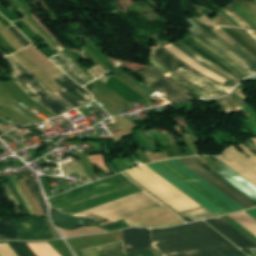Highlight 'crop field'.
<instances>
[{
  "label": "crop field",
  "mask_w": 256,
  "mask_h": 256,
  "mask_svg": "<svg viewBox=\"0 0 256 256\" xmlns=\"http://www.w3.org/2000/svg\"><path fill=\"white\" fill-rule=\"evenodd\" d=\"M154 198V197H153ZM144 191L77 214L84 216L95 212L113 222L162 206Z\"/></svg>",
  "instance_id": "4"
},
{
  "label": "crop field",
  "mask_w": 256,
  "mask_h": 256,
  "mask_svg": "<svg viewBox=\"0 0 256 256\" xmlns=\"http://www.w3.org/2000/svg\"><path fill=\"white\" fill-rule=\"evenodd\" d=\"M17 256H37L26 242H8Z\"/></svg>",
  "instance_id": "27"
},
{
  "label": "crop field",
  "mask_w": 256,
  "mask_h": 256,
  "mask_svg": "<svg viewBox=\"0 0 256 256\" xmlns=\"http://www.w3.org/2000/svg\"><path fill=\"white\" fill-rule=\"evenodd\" d=\"M151 234L153 246L161 256H189L235 249L201 222L151 229Z\"/></svg>",
  "instance_id": "1"
},
{
  "label": "crop field",
  "mask_w": 256,
  "mask_h": 256,
  "mask_svg": "<svg viewBox=\"0 0 256 256\" xmlns=\"http://www.w3.org/2000/svg\"><path fill=\"white\" fill-rule=\"evenodd\" d=\"M27 180H28V182H29L37 200L39 201L40 205L42 206L44 212L47 215L46 201H45V199H44V197H43V195L40 191V188H39L36 180L34 178H30V179H27Z\"/></svg>",
  "instance_id": "28"
},
{
  "label": "crop field",
  "mask_w": 256,
  "mask_h": 256,
  "mask_svg": "<svg viewBox=\"0 0 256 256\" xmlns=\"http://www.w3.org/2000/svg\"><path fill=\"white\" fill-rule=\"evenodd\" d=\"M256 1V0H255Z\"/></svg>",
  "instance_id": "43"
},
{
  "label": "crop field",
  "mask_w": 256,
  "mask_h": 256,
  "mask_svg": "<svg viewBox=\"0 0 256 256\" xmlns=\"http://www.w3.org/2000/svg\"><path fill=\"white\" fill-rule=\"evenodd\" d=\"M241 148L250 158H247L233 147L228 149L219 159L256 186V154L246 145H242Z\"/></svg>",
  "instance_id": "7"
},
{
  "label": "crop field",
  "mask_w": 256,
  "mask_h": 256,
  "mask_svg": "<svg viewBox=\"0 0 256 256\" xmlns=\"http://www.w3.org/2000/svg\"><path fill=\"white\" fill-rule=\"evenodd\" d=\"M126 179H128V178L125 177L123 174L116 175V176H113V177H109V178H106V179H103V180H99V181H96V182H93V183L86 184V185H84V186H82L78 189L72 190V191L67 192L65 194L50 198L49 202H50L51 206H54V205H57L59 203L71 200L73 198H76V197L82 196L84 194L96 191L98 189L107 187L109 185L121 182V181L126 180Z\"/></svg>",
  "instance_id": "13"
},
{
  "label": "crop field",
  "mask_w": 256,
  "mask_h": 256,
  "mask_svg": "<svg viewBox=\"0 0 256 256\" xmlns=\"http://www.w3.org/2000/svg\"><path fill=\"white\" fill-rule=\"evenodd\" d=\"M0 135H2V134L0 133Z\"/></svg>",
  "instance_id": "42"
},
{
  "label": "crop field",
  "mask_w": 256,
  "mask_h": 256,
  "mask_svg": "<svg viewBox=\"0 0 256 256\" xmlns=\"http://www.w3.org/2000/svg\"><path fill=\"white\" fill-rule=\"evenodd\" d=\"M178 160L180 162H182L184 165H186L187 167H189L191 170H193L195 173L200 175L206 181L211 183L213 186H215L221 192L226 194L232 200L237 202L243 208L248 209V208L256 207V205L254 203H252L250 200H248L242 194L237 192L235 189H233L231 186H229L223 180H221L216 175H214L212 172H210L208 169H206L204 166H202L195 157L182 158V159H178Z\"/></svg>",
  "instance_id": "6"
},
{
  "label": "crop field",
  "mask_w": 256,
  "mask_h": 256,
  "mask_svg": "<svg viewBox=\"0 0 256 256\" xmlns=\"http://www.w3.org/2000/svg\"><path fill=\"white\" fill-rule=\"evenodd\" d=\"M148 166L155 172H157L159 175H161L163 178H165L167 181H169L171 184L180 189L182 192H184L186 195H188L190 198H192L201 206H203L205 209H207L209 212H211L213 215L218 216L226 214L224 210L219 208L213 202L208 200L206 197H204L199 192L194 190L192 187H190L188 184H186L181 179L176 177L170 171L165 169L163 166L159 164V162L148 164Z\"/></svg>",
  "instance_id": "8"
},
{
  "label": "crop field",
  "mask_w": 256,
  "mask_h": 256,
  "mask_svg": "<svg viewBox=\"0 0 256 256\" xmlns=\"http://www.w3.org/2000/svg\"><path fill=\"white\" fill-rule=\"evenodd\" d=\"M251 141H253V142L256 144V139H253V140H251Z\"/></svg>",
  "instance_id": "41"
},
{
  "label": "crop field",
  "mask_w": 256,
  "mask_h": 256,
  "mask_svg": "<svg viewBox=\"0 0 256 256\" xmlns=\"http://www.w3.org/2000/svg\"><path fill=\"white\" fill-rule=\"evenodd\" d=\"M10 107H12L14 110H16L18 113H20L23 117L27 118L28 120H30L33 123H38V121L32 119L27 113H25L24 111L20 110L19 108H17L14 104L10 105Z\"/></svg>",
  "instance_id": "36"
},
{
  "label": "crop field",
  "mask_w": 256,
  "mask_h": 256,
  "mask_svg": "<svg viewBox=\"0 0 256 256\" xmlns=\"http://www.w3.org/2000/svg\"><path fill=\"white\" fill-rule=\"evenodd\" d=\"M188 39L190 41H192L193 43H195L196 45H198L199 47H201L202 49H204L206 52H208L209 54H211L212 56H214L216 59H218L221 63H223L225 66L229 67L232 71H234L238 76H240L242 79H244L245 77L238 72L236 69H234L232 66H230L226 61H224L223 59H221L220 57H218L217 55L213 54L212 52H210L209 50L205 49L204 47H202L201 45H199L197 42H195L193 39H191L190 37H188ZM180 50L184 51L185 53H187L190 57H192L196 62H198L199 64L203 65L204 67H206L207 69L213 71L214 73L228 79L229 81H231L233 84H237L238 82H240L242 79L234 76L233 74L225 71L224 69L216 66L215 64L209 62L208 60L204 59L203 57H201L199 54H197L195 51H193L191 48H189L187 45H185L182 41H180L177 46ZM200 48V49H201Z\"/></svg>",
  "instance_id": "9"
},
{
  "label": "crop field",
  "mask_w": 256,
  "mask_h": 256,
  "mask_svg": "<svg viewBox=\"0 0 256 256\" xmlns=\"http://www.w3.org/2000/svg\"><path fill=\"white\" fill-rule=\"evenodd\" d=\"M166 49H168L170 52H172L173 54H175L177 57H179L181 60H183L184 62H186L187 64H189L191 67H193L194 69H196L197 71L201 72L202 74L213 78L221 83H223L224 81H226V79L214 74L213 72L207 70L206 68L202 67L201 65H199L198 63H196L193 59H191L187 54L183 53L182 51H180L179 49H177L173 44H169L167 46H165Z\"/></svg>",
  "instance_id": "24"
},
{
  "label": "crop field",
  "mask_w": 256,
  "mask_h": 256,
  "mask_svg": "<svg viewBox=\"0 0 256 256\" xmlns=\"http://www.w3.org/2000/svg\"><path fill=\"white\" fill-rule=\"evenodd\" d=\"M200 21L208 24V25H215L213 24L209 19H207L205 16L199 19ZM216 26V25H215Z\"/></svg>",
  "instance_id": "37"
},
{
  "label": "crop field",
  "mask_w": 256,
  "mask_h": 256,
  "mask_svg": "<svg viewBox=\"0 0 256 256\" xmlns=\"http://www.w3.org/2000/svg\"><path fill=\"white\" fill-rule=\"evenodd\" d=\"M0 239H19L13 221H0Z\"/></svg>",
  "instance_id": "26"
},
{
  "label": "crop field",
  "mask_w": 256,
  "mask_h": 256,
  "mask_svg": "<svg viewBox=\"0 0 256 256\" xmlns=\"http://www.w3.org/2000/svg\"><path fill=\"white\" fill-rule=\"evenodd\" d=\"M4 190H5V194L8 198V200L10 201H13L14 204H15V209H16V213H24L19 202L17 201L16 197L14 196L10 186H9V183H5V184H2Z\"/></svg>",
  "instance_id": "29"
},
{
  "label": "crop field",
  "mask_w": 256,
  "mask_h": 256,
  "mask_svg": "<svg viewBox=\"0 0 256 256\" xmlns=\"http://www.w3.org/2000/svg\"><path fill=\"white\" fill-rule=\"evenodd\" d=\"M170 164H172L173 166H175L177 169H179L180 171H182L184 174H186L188 177H190L191 179H193L195 182H197L198 184H200L202 187H204L205 189H207L209 192H211L212 194H214L216 197H218L220 200H222L223 202H225L227 205H229L230 207H232L234 210L239 211V210H243V208L241 206H239L237 203H235L234 201H232L230 198H228L226 195H224L223 193H221L219 190H217L215 187H213L212 185H210L208 182H206L204 179H202L200 176H198L197 174H195L193 171H191L189 168H187L186 166H184L182 163H180L178 160L176 159H171V160H167Z\"/></svg>",
  "instance_id": "18"
},
{
  "label": "crop field",
  "mask_w": 256,
  "mask_h": 256,
  "mask_svg": "<svg viewBox=\"0 0 256 256\" xmlns=\"http://www.w3.org/2000/svg\"><path fill=\"white\" fill-rule=\"evenodd\" d=\"M246 31L256 39V32L249 31V30H246Z\"/></svg>",
  "instance_id": "39"
},
{
  "label": "crop field",
  "mask_w": 256,
  "mask_h": 256,
  "mask_svg": "<svg viewBox=\"0 0 256 256\" xmlns=\"http://www.w3.org/2000/svg\"><path fill=\"white\" fill-rule=\"evenodd\" d=\"M246 255L240 250H233V251L218 252V253L196 255V256H246Z\"/></svg>",
  "instance_id": "31"
},
{
  "label": "crop field",
  "mask_w": 256,
  "mask_h": 256,
  "mask_svg": "<svg viewBox=\"0 0 256 256\" xmlns=\"http://www.w3.org/2000/svg\"><path fill=\"white\" fill-rule=\"evenodd\" d=\"M234 91L245 100L249 98L237 87ZM234 91L228 96L215 99L228 114V116L234 112H242L247 108V103L240 99Z\"/></svg>",
  "instance_id": "20"
},
{
  "label": "crop field",
  "mask_w": 256,
  "mask_h": 256,
  "mask_svg": "<svg viewBox=\"0 0 256 256\" xmlns=\"http://www.w3.org/2000/svg\"><path fill=\"white\" fill-rule=\"evenodd\" d=\"M213 172L256 203V187L224 163L221 162Z\"/></svg>",
  "instance_id": "15"
},
{
  "label": "crop field",
  "mask_w": 256,
  "mask_h": 256,
  "mask_svg": "<svg viewBox=\"0 0 256 256\" xmlns=\"http://www.w3.org/2000/svg\"><path fill=\"white\" fill-rule=\"evenodd\" d=\"M55 82L59 83L63 87L59 89L57 92H55L56 95H58L60 98L64 99L67 101L69 104H71L73 107H78L81 105H86L90 103L89 101H93V98L90 97L92 96L87 90L83 89L80 87L78 84H76L74 81H72L69 77H67L65 74L57 77L54 79ZM90 96H88L87 94ZM84 93V94H82ZM82 94V95H80ZM86 98L80 97V96Z\"/></svg>",
  "instance_id": "10"
},
{
  "label": "crop field",
  "mask_w": 256,
  "mask_h": 256,
  "mask_svg": "<svg viewBox=\"0 0 256 256\" xmlns=\"http://www.w3.org/2000/svg\"><path fill=\"white\" fill-rule=\"evenodd\" d=\"M202 41L212 47L214 50L219 52L225 58L229 59L233 62L238 68H240L244 73L250 76L253 73H256L255 70L250 67L246 62H244L240 57L234 54L231 50L225 47L222 43H220L216 38H214L211 34H209L205 29L201 26H198L197 32L195 34Z\"/></svg>",
  "instance_id": "12"
},
{
  "label": "crop field",
  "mask_w": 256,
  "mask_h": 256,
  "mask_svg": "<svg viewBox=\"0 0 256 256\" xmlns=\"http://www.w3.org/2000/svg\"><path fill=\"white\" fill-rule=\"evenodd\" d=\"M8 29L16 36V38L25 46L31 45V43L23 36V34L15 27L10 26Z\"/></svg>",
  "instance_id": "32"
},
{
  "label": "crop field",
  "mask_w": 256,
  "mask_h": 256,
  "mask_svg": "<svg viewBox=\"0 0 256 256\" xmlns=\"http://www.w3.org/2000/svg\"><path fill=\"white\" fill-rule=\"evenodd\" d=\"M12 66L15 81L35 101L60 115L74 109L65 101L54 95L43 83H41L23 64L13 55L6 58Z\"/></svg>",
  "instance_id": "3"
},
{
  "label": "crop field",
  "mask_w": 256,
  "mask_h": 256,
  "mask_svg": "<svg viewBox=\"0 0 256 256\" xmlns=\"http://www.w3.org/2000/svg\"><path fill=\"white\" fill-rule=\"evenodd\" d=\"M246 145H247L248 147H251V146H254L255 144L249 140Z\"/></svg>",
  "instance_id": "40"
},
{
  "label": "crop field",
  "mask_w": 256,
  "mask_h": 256,
  "mask_svg": "<svg viewBox=\"0 0 256 256\" xmlns=\"http://www.w3.org/2000/svg\"><path fill=\"white\" fill-rule=\"evenodd\" d=\"M205 28L209 33L216 37L225 46L231 49L234 53L244 59L250 66L256 70V58L251 55L248 51L242 48L238 43H236L231 37H229L223 30L219 27H209L204 24H199Z\"/></svg>",
  "instance_id": "17"
},
{
  "label": "crop field",
  "mask_w": 256,
  "mask_h": 256,
  "mask_svg": "<svg viewBox=\"0 0 256 256\" xmlns=\"http://www.w3.org/2000/svg\"><path fill=\"white\" fill-rule=\"evenodd\" d=\"M123 234L126 253L150 247L148 229L133 228Z\"/></svg>",
  "instance_id": "19"
},
{
  "label": "crop field",
  "mask_w": 256,
  "mask_h": 256,
  "mask_svg": "<svg viewBox=\"0 0 256 256\" xmlns=\"http://www.w3.org/2000/svg\"><path fill=\"white\" fill-rule=\"evenodd\" d=\"M21 240L53 239L45 219L14 220Z\"/></svg>",
  "instance_id": "11"
},
{
  "label": "crop field",
  "mask_w": 256,
  "mask_h": 256,
  "mask_svg": "<svg viewBox=\"0 0 256 256\" xmlns=\"http://www.w3.org/2000/svg\"><path fill=\"white\" fill-rule=\"evenodd\" d=\"M229 7L256 30V2L254 0H237Z\"/></svg>",
  "instance_id": "22"
},
{
  "label": "crop field",
  "mask_w": 256,
  "mask_h": 256,
  "mask_svg": "<svg viewBox=\"0 0 256 256\" xmlns=\"http://www.w3.org/2000/svg\"><path fill=\"white\" fill-rule=\"evenodd\" d=\"M161 165H163L165 168H167L168 170H170L172 173H174L176 176H178L179 178H181L183 181H185L186 183H188L190 186H192L193 188H195L197 191H199L201 194H203L204 196H206L208 199H210L211 201H213L215 204H217L219 207H221L222 209H224L226 212L231 213V212H235L232 208H230L229 206H227L225 203H223L222 201H220L218 198H216L214 195H212L211 193H209L207 190H205L204 188H202L200 185H198L197 183H195L193 180H191L190 178H188L186 175H184L182 172H180L179 170H177L175 167H173L172 165H170L168 162L166 161H162L160 162Z\"/></svg>",
  "instance_id": "21"
},
{
  "label": "crop field",
  "mask_w": 256,
  "mask_h": 256,
  "mask_svg": "<svg viewBox=\"0 0 256 256\" xmlns=\"http://www.w3.org/2000/svg\"><path fill=\"white\" fill-rule=\"evenodd\" d=\"M229 216L256 236V220H254L248 214L241 212L231 214Z\"/></svg>",
  "instance_id": "25"
},
{
  "label": "crop field",
  "mask_w": 256,
  "mask_h": 256,
  "mask_svg": "<svg viewBox=\"0 0 256 256\" xmlns=\"http://www.w3.org/2000/svg\"><path fill=\"white\" fill-rule=\"evenodd\" d=\"M12 178H13V181H14V183H15V186H16V188H17V190H18V192H19V194H20L22 200L24 201V203H25L26 206L28 207V209H29V211L31 212V214H34V215H35L34 211L32 210L31 206L29 205L28 201L26 200V198H25V196H24V194H23V192H22V190H21V188H20V186H19V184H18V182H17V180H16V177H12Z\"/></svg>",
  "instance_id": "34"
},
{
  "label": "crop field",
  "mask_w": 256,
  "mask_h": 256,
  "mask_svg": "<svg viewBox=\"0 0 256 256\" xmlns=\"http://www.w3.org/2000/svg\"><path fill=\"white\" fill-rule=\"evenodd\" d=\"M76 256H114L125 253L123 241L74 252ZM119 256H157L152 248Z\"/></svg>",
  "instance_id": "14"
},
{
  "label": "crop field",
  "mask_w": 256,
  "mask_h": 256,
  "mask_svg": "<svg viewBox=\"0 0 256 256\" xmlns=\"http://www.w3.org/2000/svg\"><path fill=\"white\" fill-rule=\"evenodd\" d=\"M250 216H252L254 219H256V208L246 211Z\"/></svg>",
  "instance_id": "38"
},
{
  "label": "crop field",
  "mask_w": 256,
  "mask_h": 256,
  "mask_svg": "<svg viewBox=\"0 0 256 256\" xmlns=\"http://www.w3.org/2000/svg\"><path fill=\"white\" fill-rule=\"evenodd\" d=\"M192 38L194 40H196L198 43H200L202 46L208 48L209 50L213 51L214 53H216L217 55H219L221 58H223L224 60H226L230 65H232L234 68H236L238 71H240L245 77H247L246 74H244L240 69H238L235 65H233L231 62H229L227 59H225L224 57H222L220 54H218L216 51H214L212 48H210L209 46H207L205 43H203L201 40H199L197 37H195L194 35L192 36Z\"/></svg>",
  "instance_id": "35"
},
{
  "label": "crop field",
  "mask_w": 256,
  "mask_h": 256,
  "mask_svg": "<svg viewBox=\"0 0 256 256\" xmlns=\"http://www.w3.org/2000/svg\"><path fill=\"white\" fill-rule=\"evenodd\" d=\"M138 74L144 77V83H146L152 89L155 91L160 89L163 92L173 96L178 102L182 100H192L193 98L187 95V93H190L195 96L196 99H199L189 89L176 82L151 63L146 70Z\"/></svg>",
  "instance_id": "5"
},
{
  "label": "crop field",
  "mask_w": 256,
  "mask_h": 256,
  "mask_svg": "<svg viewBox=\"0 0 256 256\" xmlns=\"http://www.w3.org/2000/svg\"><path fill=\"white\" fill-rule=\"evenodd\" d=\"M150 61L152 62V63H154L156 66H158L160 69H162L164 72L165 71H167V69L166 68H164L162 65H160L159 63H157L155 60H153L151 57H150ZM169 71V70H168ZM173 74V73H172ZM173 77H175L177 80L178 79H180V78H178L177 76H173ZM181 80V79H180ZM184 85H186L187 87H189L190 89H192L193 91H195L202 99H205V97L202 95V94H200L195 88H193L192 86H190L188 83H186L185 81H184V83H183Z\"/></svg>",
  "instance_id": "33"
},
{
  "label": "crop field",
  "mask_w": 256,
  "mask_h": 256,
  "mask_svg": "<svg viewBox=\"0 0 256 256\" xmlns=\"http://www.w3.org/2000/svg\"><path fill=\"white\" fill-rule=\"evenodd\" d=\"M211 226H213L216 230L222 233L225 237H227L230 241H232L235 245L241 248H256V244L242 235L239 231L229 225L220 217L206 220Z\"/></svg>",
  "instance_id": "16"
},
{
  "label": "crop field",
  "mask_w": 256,
  "mask_h": 256,
  "mask_svg": "<svg viewBox=\"0 0 256 256\" xmlns=\"http://www.w3.org/2000/svg\"><path fill=\"white\" fill-rule=\"evenodd\" d=\"M58 57L63 60L71 69H73L81 78H83L87 83L91 82L86 75L65 55H58ZM57 56L51 58L57 65H59L63 70H65L68 75L74 78L79 84H87L83 79H81L73 70H71L63 61H61ZM64 71V72H65ZM65 72V73H66Z\"/></svg>",
  "instance_id": "23"
},
{
  "label": "crop field",
  "mask_w": 256,
  "mask_h": 256,
  "mask_svg": "<svg viewBox=\"0 0 256 256\" xmlns=\"http://www.w3.org/2000/svg\"><path fill=\"white\" fill-rule=\"evenodd\" d=\"M149 56L165 66L175 75L191 84L206 98L223 96L232 91L221 83L200 74L189 65L178 59L176 56L168 52L160 44Z\"/></svg>",
  "instance_id": "2"
},
{
  "label": "crop field",
  "mask_w": 256,
  "mask_h": 256,
  "mask_svg": "<svg viewBox=\"0 0 256 256\" xmlns=\"http://www.w3.org/2000/svg\"><path fill=\"white\" fill-rule=\"evenodd\" d=\"M231 18L237 21L242 28L252 29L242 18H240L231 8L228 6L223 9ZM236 22V23H237ZM253 30V29H252Z\"/></svg>",
  "instance_id": "30"
}]
</instances>
